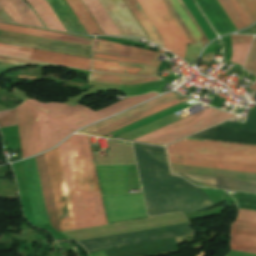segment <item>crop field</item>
<instances>
[{"label": "crop field", "instance_id": "1", "mask_svg": "<svg viewBox=\"0 0 256 256\" xmlns=\"http://www.w3.org/2000/svg\"><path fill=\"white\" fill-rule=\"evenodd\" d=\"M61 147L71 195L77 188L72 198ZM61 147L58 146L51 151L45 152L44 155L63 232L78 230V226L81 229L107 224L101 195L100 193H95L100 192V189L93 161L76 162L78 175H75L77 174L75 161L93 160L88 138L81 135H72L61 144ZM44 155L43 153L37 155L35 159L46 211L49 216L50 226L58 233H62ZM72 175H75L73 177L76 188ZM76 197L77 199L75 200Z\"/></svg>", "mask_w": 256, "mask_h": 256}, {"label": "crop field", "instance_id": "2", "mask_svg": "<svg viewBox=\"0 0 256 256\" xmlns=\"http://www.w3.org/2000/svg\"><path fill=\"white\" fill-rule=\"evenodd\" d=\"M133 146L150 216L194 212L216 204L182 178L169 176L163 147L138 143Z\"/></svg>", "mask_w": 256, "mask_h": 256}, {"label": "crop field", "instance_id": "3", "mask_svg": "<svg viewBox=\"0 0 256 256\" xmlns=\"http://www.w3.org/2000/svg\"><path fill=\"white\" fill-rule=\"evenodd\" d=\"M156 95L148 93L131 97L99 110L97 114L105 118ZM24 102L36 109L42 151L53 147L69 133L101 119L95 111L80 104L71 107L64 103H41L31 98Z\"/></svg>", "mask_w": 256, "mask_h": 256}, {"label": "crop field", "instance_id": "4", "mask_svg": "<svg viewBox=\"0 0 256 256\" xmlns=\"http://www.w3.org/2000/svg\"><path fill=\"white\" fill-rule=\"evenodd\" d=\"M172 154L256 163V146L222 142L182 140L167 147ZM169 155L170 163L256 173V164Z\"/></svg>", "mask_w": 256, "mask_h": 256}, {"label": "crop field", "instance_id": "5", "mask_svg": "<svg viewBox=\"0 0 256 256\" xmlns=\"http://www.w3.org/2000/svg\"><path fill=\"white\" fill-rule=\"evenodd\" d=\"M92 52H93V55L109 56V57H115L119 59L149 62V65H143L148 63L94 56V59H100V60L143 63V64H132V63L113 62L112 66H116V67H125V68L137 67L135 75H142V76L155 75L156 69L160 64L159 61H156L159 53L142 50L138 48H133V47H126V46L119 45L113 42H108V41L107 42L98 41L96 51H92ZM100 60H95V61H100ZM111 61H104V62H111ZM111 64L112 63L94 62V70L107 71V68H112V69L125 70V73L127 74L134 75L135 73L136 68H130V69L116 68V67H111ZM112 69H108V72L124 73V71L112 70Z\"/></svg>", "mask_w": 256, "mask_h": 256}, {"label": "crop field", "instance_id": "6", "mask_svg": "<svg viewBox=\"0 0 256 256\" xmlns=\"http://www.w3.org/2000/svg\"><path fill=\"white\" fill-rule=\"evenodd\" d=\"M193 231L189 223L133 232L128 234L80 241L89 253L106 250L110 248L126 246L136 243L160 240L165 238L192 234Z\"/></svg>", "mask_w": 256, "mask_h": 256}, {"label": "crop field", "instance_id": "7", "mask_svg": "<svg viewBox=\"0 0 256 256\" xmlns=\"http://www.w3.org/2000/svg\"><path fill=\"white\" fill-rule=\"evenodd\" d=\"M163 37L164 48L183 59L190 44L162 0H138Z\"/></svg>", "mask_w": 256, "mask_h": 256}, {"label": "crop field", "instance_id": "8", "mask_svg": "<svg viewBox=\"0 0 256 256\" xmlns=\"http://www.w3.org/2000/svg\"><path fill=\"white\" fill-rule=\"evenodd\" d=\"M177 97L173 92L164 95L162 97L151 100L147 103H144L138 107H135L129 111H126L120 115L114 116L112 118L106 119L104 121L98 122L91 126H88L77 133L86 134V135H95L101 136L105 133L113 131L117 128H120L124 125H127L131 122L139 120L143 117H146L150 114L158 112L162 109H165L169 106H172L181 101L174 99L172 101H168L172 98ZM188 99V98H186ZM184 99V100H186ZM182 100V101H184Z\"/></svg>", "mask_w": 256, "mask_h": 256}, {"label": "crop field", "instance_id": "9", "mask_svg": "<svg viewBox=\"0 0 256 256\" xmlns=\"http://www.w3.org/2000/svg\"><path fill=\"white\" fill-rule=\"evenodd\" d=\"M0 42L90 58L89 46L0 30Z\"/></svg>", "mask_w": 256, "mask_h": 256}, {"label": "crop field", "instance_id": "10", "mask_svg": "<svg viewBox=\"0 0 256 256\" xmlns=\"http://www.w3.org/2000/svg\"><path fill=\"white\" fill-rule=\"evenodd\" d=\"M33 49L0 43V54L28 59ZM42 62L90 70V59L34 49L30 58Z\"/></svg>", "mask_w": 256, "mask_h": 256}, {"label": "crop field", "instance_id": "11", "mask_svg": "<svg viewBox=\"0 0 256 256\" xmlns=\"http://www.w3.org/2000/svg\"><path fill=\"white\" fill-rule=\"evenodd\" d=\"M24 103L16 108L23 158L41 152L35 109Z\"/></svg>", "mask_w": 256, "mask_h": 256}, {"label": "crop field", "instance_id": "12", "mask_svg": "<svg viewBox=\"0 0 256 256\" xmlns=\"http://www.w3.org/2000/svg\"><path fill=\"white\" fill-rule=\"evenodd\" d=\"M121 35H146L122 0H98Z\"/></svg>", "mask_w": 256, "mask_h": 256}, {"label": "crop field", "instance_id": "13", "mask_svg": "<svg viewBox=\"0 0 256 256\" xmlns=\"http://www.w3.org/2000/svg\"><path fill=\"white\" fill-rule=\"evenodd\" d=\"M233 115L234 114L218 111L214 114H211L186 126H183L160 137H157L153 140H150L148 141V143L166 145L170 142H173L177 139H180L184 136H187L191 133H194L198 130H201L207 126H210Z\"/></svg>", "mask_w": 256, "mask_h": 256}, {"label": "crop field", "instance_id": "14", "mask_svg": "<svg viewBox=\"0 0 256 256\" xmlns=\"http://www.w3.org/2000/svg\"><path fill=\"white\" fill-rule=\"evenodd\" d=\"M172 1H173V6L175 7V9L177 10V12L179 13V15L181 16V18L183 19V21L185 22V24L187 25V27L189 28V30L191 31V33L193 34V36L195 37V39L197 40V42H198V40L200 39V37H201V39L199 40V42L197 43L196 42V40L194 39V37L192 36V34L190 33V31L188 30V28L186 27V25L184 24V22L182 21V19L180 18V16L178 15V13L176 12V10L174 9V7L172 6ZM163 0V2L165 3V5L168 7V9L170 10V12L172 13V15L174 16V18L176 19V21L179 23V25L181 26V28L183 29V31L185 32V34L187 35V37L190 39V41L192 42V44H195V45H201V46H204L206 43H208L209 41H208V39L206 38V36L204 35V33L202 32V30L200 29V27L197 25V23L195 22V20L193 19V17L191 16V14L189 13V11L187 10V8L185 7V5L183 4V2L181 1V0H178V2L180 3V5L182 6V8L185 10V12L187 13V15L189 16V18L191 19V21L193 22V24L195 25V27L197 28V30L199 31V33L201 34V36H200V34L198 33V31L196 30V28L194 27V25L192 24V22L190 21V19L188 18V16L186 15V13L184 12V10L181 8V6L179 5V3L177 2V0Z\"/></svg>", "mask_w": 256, "mask_h": 256}, {"label": "crop field", "instance_id": "15", "mask_svg": "<svg viewBox=\"0 0 256 256\" xmlns=\"http://www.w3.org/2000/svg\"><path fill=\"white\" fill-rule=\"evenodd\" d=\"M231 249L256 254V223L235 220Z\"/></svg>", "mask_w": 256, "mask_h": 256}, {"label": "crop field", "instance_id": "16", "mask_svg": "<svg viewBox=\"0 0 256 256\" xmlns=\"http://www.w3.org/2000/svg\"><path fill=\"white\" fill-rule=\"evenodd\" d=\"M0 7L15 23L43 28L35 14L22 0H0Z\"/></svg>", "mask_w": 256, "mask_h": 256}, {"label": "crop field", "instance_id": "17", "mask_svg": "<svg viewBox=\"0 0 256 256\" xmlns=\"http://www.w3.org/2000/svg\"><path fill=\"white\" fill-rule=\"evenodd\" d=\"M67 32L87 35L65 0H46Z\"/></svg>", "mask_w": 256, "mask_h": 256}, {"label": "crop field", "instance_id": "18", "mask_svg": "<svg viewBox=\"0 0 256 256\" xmlns=\"http://www.w3.org/2000/svg\"><path fill=\"white\" fill-rule=\"evenodd\" d=\"M0 29L18 32V33L29 34V35H35V36H40V37H45V38H51V39H56V40H62V41H67V42H73V43H78V44H83V45H89V46H91V40H92L89 38L46 32V31H41V30H36V29L8 25V24H4V23H0Z\"/></svg>", "mask_w": 256, "mask_h": 256}, {"label": "crop field", "instance_id": "19", "mask_svg": "<svg viewBox=\"0 0 256 256\" xmlns=\"http://www.w3.org/2000/svg\"><path fill=\"white\" fill-rule=\"evenodd\" d=\"M104 35H120L97 0H82Z\"/></svg>", "mask_w": 256, "mask_h": 256}, {"label": "crop field", "instance_id": "20", "mask_svg": "<svg viewBox=\"0 0 256 256\" xmlns=\"http://www.w3.org/2000/svg\"><path fill=\"white\" fill-rule=\"evenodd\" d=\"M35 10L46 28L65 31L64 27L45 0H26Z\"/></svg>", "mask_w": 256, "mask_h": 256}, {"label": "crop field", "instance_id": "21", "mask_svg": "<svg viewBox=\"0 0 256 256\" xmlns=\"http://www.w3.org/2000/svg\"><path fill=\"white\" fill-rule=\"evenodd\" d=\"M140 25L142 26L143 30L147 34V36L150 35L151 38L154 37L155 42L158 43L159 45L163 46V41L162 37L157 31V29L154 27L140 4L138 3L137 0H124Z\"/></svg>", "mask_w": 256, "mask_h": 256}, {"label": "crop field", "instance_id": "22", "mask_svg": "<svg viewBox=\"0 0 256 256\" xmlns=\"http://www.w3.org/2000/svg\"><path fill=\"white\" fill-rule=\"evenodd\" d=\"M88 80L132 85V84L162 80V78H160L158 76L149 77V78H142V77H133V76H124V75H115V74L91 72L90 75H89Z\"/></svg>", "mask_w": 256, "mask_h": 256}, {"label": "crop field", "instance_id": "23", "mask_svg": "<svg viewBox=\"0 0 256 256\" xmlns=\"http://www.w3.org/2000/svg\"><path fill=\"white\" fill-rule=\"evenodd\" d=\"M254 36L231 35L232 58L230 62L243 65Z\"/></svg>", "mask_w": 256, "mask_h": 256}, {"label": "crop field", "instance_id": "24", "mask_svg": "<svg viewBox=\"0 0 256 256\" xmlns=\"http://www.w3.org/2000/svg\"><path fill=\"white\" fill-rule=\"evenodd\" d=\"M216 111H218V110H214V109L208 108V109H206L204 111L196 113V114H194L192 116H189V117H187L185 119H182V120H180L178 122L170 124V125H168L166 127H163V128H161L159 130H156V131H154L152 133H149V134L144 135V136H142L140 138H137V139H135V141L146 142V141H148L150 139H153V138H155L157 136H160V135H162L164 133H167V132H169L171 130H174V129L178 128V127H181L183 125H186V124H188L190 122H193V121H195L197 119H200V118H202L204 116H207V115H209L211 113H214Z\"/></svg>", "mask_w": 256, "mask_h": 256}, {"label": "crop field", "instance_id": "25", "mask_svg": "<svg viewBox=\"0 0 256 256\" xmlns=\"http://www.w3.org/2000/svg\"><path fill=\"white\" fill-rule=\"evenodd\" d=\"M237 30L250 25V21L235 0H218Z\"/></svg>", "mask_w": 256, "mask_h": 256}, {"label": "crop field", "instance_id": "26", "mask_svg": "<svg viewBox=\"0 0 256 256\" xmlns=\"http://www.w3.org/2000/svg\"><path fill=\"white\" fill-rule=\"evenodd\" d=\"M88 35H91L90 33H99V35H102L90 15L87 13L83 5L79 0H66Z\"/></svg>", "mask_w": 256, "mask_h": 256}, {"label": "crop field", "instance_id": "27", "mask_svg": "<svg viewBox=\"0 0 256 256\" xmlns=\"http://www.w3.org/2000/svg\"><path fill=\"white\" fill-rule=\"evenodd\" d=\"M172 170L256 180V175L171 165Z\"/></svg>", "mask_w": 256, "mask_h": 256}, {"label": "crop field", "instance_id": "28", "mask_svg": "<svg viewBox=\"0 0 256 256\" xmlns=\"http://www.w3.org/2000/svg\"><path fill=\"white\" fill-rule=\"evenodd\" d=\"M218 126L256 131V108L253 110V112L250 114V116L248 117L244 124L225 122Z\"/></svg>", "mask_w": 256, "mask_h": 256}, {"label": "crop field", "instance_id": "29", "mask_svg": "<svg viewBox=\"0 0 256 256\" xmlns=\"http://www.w3.org/2000/svg\"><path fill=\"white\" fill-rule=\"evenodd\" d=\"M251 23L256 21V0H236Z\"/></svg>", "mask_w": 256, "mask_h": 256}, {"label": "crop field", "instance_id": "30", "mask_svg": "<svg viewBox=\"0 0 256 256\" xmlns=\"http://www.w3.org/2000/svg\"><path fill=\"white\" fill-rule=\"evenodd\" d=\"M17 125L15 109L0 112V128Z\"/></svg>", "mask_w": 256, "mask_h": 256}, {"label": "crop field", "instance_id": "31", "mask_svg": "<svg viewBox=\"0 0 256 256\" xmlns=\"http://www.w3.org/2000/svg\"><path fill=\"white\" fill-rule=\"evenodd\" d=\"M244 69L256 75V38L247 58Z\"/></svg>", "mask_w": 256, "mask_h": 256}, {"label": "crop field", "instance_id": "32", "mask_svg": "<svg viewBox=\"0 0 256 256\" xmlns=\"http://www.w3.org/2000/svg\"><path fill=\"white\" fill-rule=\"evenodd\" d=\"M237 219L256 222V212L239 209V215H238Z\"/></svg>", "mask_w": 256, "mask_h": 256}, {"label": "crop field", "instance_id": "33", "mask_svg": "<svg viewBox=\"0 0 256 256\" xmlns=\"http://www.w3.org/2000/svg\"><path fill=\"white\" fill-rule=\"evenodd\" d=\"M0 62L20 65V66H25V65L37 63V62H31V61L14 59V58L3 57V56H0Z\"/></svg>", "mask_w": 256, "mask_h": 256}, {"label": "crop field", "instance_id": "34", "mask_svg": "<svg viewBox=\"0 0 256 256\" xmlns=\"http://www.w3.org/2000/svg\"><path fill=\"white\" fill-rule=\"evenodd\" d=\"M13 67H19V66L0 63V73L6 71V70H8V69H11V68H13Z\"/></svg>", "mask_w": 256, "mask_h": 256}, {"label": "crop field", "instance_id": "35", "mask_svg": "<svg viewBox=\"0 0 256 256\" xmlns=\"http://www.w3.org/2000/svg\"><path fill=\"white\" fill-rule=\"evenodd\" d=\"M248 89L255 90L256 91V83L248 86Z\"/></svg>", "mask_w": 256, "mask_h": 256}, {"label": "crop field", "instance_id": "36", "mask_svg": "<svg viewBox=\"0 0 256 256\" xmlns=\"http://www.w3.org/2000/svg\"><path fill=\"white\" fill-rule=\"evenodd\" d=\"M1 9V8H0Z\"/></svg>", "mask_w": 256, "mask_h": 256}]
</instances>
